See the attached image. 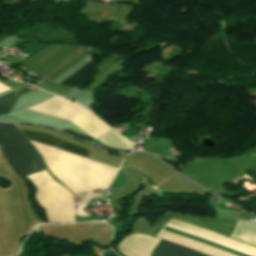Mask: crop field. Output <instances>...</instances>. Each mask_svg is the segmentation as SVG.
Wrapping results in <instances>:
<instances>
[{"label":"crop field","mask_w":256,"mask_h":256,"mask_svg":"<svg viewBox=\"0 0 256 256\" xmlns=\"http://www.w3.org/2000/svg\"><path fill=\"white\" fill-rule=\"evenodd\" d=\"M173 218H176L178 220L184 221L186 223H189V224H192V225H195V226H198V227L210 230V231H214L217 234H220L225 237L231 227L230 224H226V223H222V222H218V221H214V220H210V219H205V218H197V217H193V216L176 215ZM173 218H171V220L169 222L179 225L181 227L187 228L189 230L195 231L197 233L203 234L205 236L211 237L213 239L219 240L221 242L229 243V244L238 246L240 248L256 252L255 247H251V246L245 245L243 243L237 242L235 240L222 237L220 235L215 234L214 232H210V231L183 223V222L175 220ZM171 223H168L167 226H170L172 228L181 230V231L189 233L191 235L200 237L202 239L214 242L216 244L225 246L227 248L234 249V250H237L240 252H244V253L256 256L255 252L246 251V250L240 249V248L232 246V245L221 243L219 241L213 240L211 238L205 237L203 235H200L195 232L189 231L187 229L181 228L179 226L173 225ZM158 236L163 239H166L171 242L189 247L191 249H194V250H197V251H200L203 253H206L211 256H235L230 253L221 251L219 249L213 248L211 246H208L203 243L197 242L195 240L186 238L184 236L178 235L176 233L170 232L165 229H163ZM163 239H161L158 242L155 249L152 251V253H151L152 256H208L206 254L191 250L189 248L171 243V242L163 240Z\"/></svg>","instance_id":"obj_1"},{"label":"crop field","mask_w":256,"mask_h":256,"mask_svg":"<svg viewBox=\"0 0 256 256\" xmlns=\"http://www.w3.org/2000/svg\"><path fill=\"white\" fill-rule=\"evenodd\" d=\"M85 55L86 54L79 49L68 47L32 70L49 80H54Z\"/></svg>","instance_id":"obj_3"},{"label":"crop field","mask_w":256,"mask_h":256,"mask_svg":"<svg viewBox=\"0 0 256 256\" xmlns=\"http://www.w3.org/2000/svg\"><path fill=\"white\" fill-rule=\"evenodd\" d=\"M157 241L142 234H132L118 245V250L125 256H148Z\"/></svg>","instance_id":"obj_4"},{"label":"crop field","mask_w":256,"mask_h":256,"mask_svg":"<svg viewBox=\"0 0 256 256\" xmlns=\"http://www.w3.org/2000/svg\"><path fill=\"white\" fill-rule=\"evenodd\" d=\"M28 139L46 144L70 153H74L83 157H88L89 150L82 149L75 145H72L64 140L56 138L54 136L31 130H20Z\"/></svg>","instance_id":"obj_5"},{"label":"crop field","mask_w":256,"mask_h":256,"mask_svg":"<svg viewBox=\"0 0 256 256\" xmlns=\"http://www.w3.org/2000/svg\"><path fill=\"white\" fill-rule=\"evenodd\" d=\"M171 214L166 213L165 216L163 218L160 219V221L155 225V227L151 230V232L149 233V235H155V233L157 232V230L164 224V222L169 218ZM166 223V222H165Z\"/></svg>","instance_id":"obj_9"},{"label":"crop field","mask_w":256,"mask_h":256,"mask_svg":"<svg viewBox=\"0 0 256 256\" xmlns=\"http://www.w3.org/2000/svg\"><path fill=\"white\" fill-rule=\"evenodd\" d=\"M119 1H127V0H111L110 3H116V2H119Z\"/></svg>","instance_id":"obj_10"},{"label":"crop field","mask_w":256,"mask_h":256,"mask_svg":"<svg viewBox=\"0 0 256 256\" xmlns=\"http://www.w3.org/2000/svg\"><path fill=\"white\" fill-rule=\"evenodd\" d=\"M92 60L80 68L78 71L73 73L71 76L66 78L60 83L63 86H80L89 81L97 72H99Z\"/></svg>","instance_id":"obj_6"},{"label":"crop field","mask_w":256,"mask_h":256,"mask_svg":"<svg viewBox=\"0 0 256 256\" xmlns=\"http://www.w3.org/2000/svg\"><path fill=\"white\" fill-rule=\"evenodd\" d=\"M17 98V91L0 97V115L8 113Z\"/></svg>","instance_id":"obj_8"},{"label":"crop field","mask_w":256,"mask_h":256,"mask_svg":"<svg viewBox=\"0 0 256 256\" xmlns=\"http://www.w3.org/2000/svg\"><path fill=\"white\" fill-rule=\"evenodd\" d=\"M0 147L13 171L24 176L44 170L30 143L14 124H0Z\"/></svg>","instance_id":"obj_2"},{"label":"crop field","mask_w":256,"mask_h":256,"mask_svg":"<svg viewBox=\"0 0 256 256\" xmlns=\"http://www.w3.org/2000/svg\"><path fill=\"white\" fill-rule=\"evenodd\" d=\"M97 140L103 142L108 146L121 149H131L133 147V144L129 140H127L125 137H123L113 129Z\"/></svg>","instance_id":"obj_7"}]
</instances>
